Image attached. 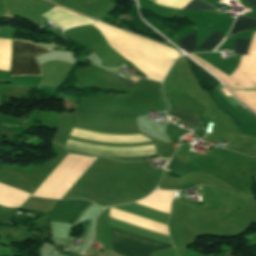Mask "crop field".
<instances>
[{
    "label": "crop field",
    "instance_id": "obj_1",
    "mask_svg": "<svg viewBox=\"0 0 256 256\" xmlns=\"http://www.w3.org/2000/svg\"><path fill=\"white\" fill-rule=\"evenodd\" d=\"M251 49L256 50V32H254L253 34V38L248 50V55H244L241 57L238 67L233 71V73L229 77L220 72L219 70H217L216 68H214L212 65L206 63L196 55L191 54L190 56H192L205 68H207L214 75H216L241 102H243L246 106H248L250 109L256 112V101H252L256 100V51H251Z\"/></svg>",
    "mask_w": 256,
    "mask_h": 256
},
{
    "label": "crop field",
    "instance_id": "obj_2",
    "mask_svg": "<svg viewBox=\"0 0 256 256\" xmlns=\"http://www.w3.org/2000/svg\"><path fill=\"white\" fill-rule=\"evenodd\" d=\"M113 250L123 256H151V252L172 247L111 227Z\"/></svg>",
    "mask_w": 256,
    "mask_h": 256
},
{
    "label": "crop field",
    "instance_id": "obj_3",
    "mask_svg": "<svg viewBox=\"0 0 256 256\" xmlns=\"http://www.w3.org/2000/svg\"><path fill=\"white\" fill-rule=\"evenodd\" d=\"M48 51L51 50L35 43L14 41L10 76H41L35 56Z\"/></svg>",
    "mask_w": 256,
    "mask_h": 256
},
{
    "label": "crop field",
    "instance_id": "obj_4",
    "mask_svg": "<svg viewBox=\"0 0 256 256\" xmlns=\"http://www.w3.org/2000/svg\"><path fill=\"white\" fill-rule=\"evenodd\" d=\"M168 114L171 115V116H174L176 118L181 119L182 121L179 122L180 124H184V125H188V126H193V127L197 126V124H198V122H199V120H200V118L202 116V115H199V114L191 113V112L180 110V109H176V108H174L173 110L168 112Z\"/></svg>",
    "mask_w": 256,
    "mask_h": 256
},
{
    "label": "crop field",
    "instance_id": "obj_5",
    "mask_svg": "<svg viewBox=\"0 0 256 256\" xmlns=\"http://www.w3.org/2000/svg\"><path fill=\"white\" fill-rule=\"evenodd\" d=\"M65 148L70 149V150H74V151H78V152H83V153L97 154V155H108V156H118V157L145 156V155H154V154H156L155 151L136 152V153H110V152L87 150V149L68 146V145H66Z\"/></svg>",
    "mask_w": 256,
    "mask_h": 256
},
{
    "label": "crop field",
    "instance_id": "obj_6",
    "mask_svg": "<svg viewBox=\"0 0 256 256\" xmlns=\"http://www.w3.org/2000/svg\"><path fill=\"white\" fill-rule=\"evenodd\" d=\"M253 27H256V20L255 19L238 15V17H237V19H236V21H235V23L232 27L231 35L236 33V32L246 30V29H249V28H253Z\"/></svg>",
    "mask_w": 256,
    "mask_h": 256
},
{
    "label": "crop field",
    "instance_id": "obj_7",
    "mask_svg": "<svg viewBox=\"0 0 256 256\" xmlns=\"http://www.w3.org/2000/svg\"><path fill=\"white\" fill-rule=\"evenodd\" d=\"M223 37H224L223 34L213 32V34L206 41H204L198 48L212 50L222 40ZM224 39H225V37H224ZM224 39L222 41H224Z\"/></svg>",
    "mask_w": 256,
    "mask_h": 256
},
{
    "label": "crop field",
    "instance_id": "obj_8",
    "mask_svg": "<svg viewBox=\"0 0 256 256\" xmlns=\"http://www.w3.org/2000/svg\"><path fill=\"white\" fill-rule=\"evenodd\" d=\"M182 48L188 53L195 49V32L181 39Z\"/></svg>",
    "mask_w": 256,
    "mask_h": 256
},
{
    "label": "crop field",
    "instance_id": "obj_9",
    "mask_svg": "<svg viewBox=\"0 0 256 256\" xmlns=\"http://www.w3.org/2000/svg\"><path fill=\"white\" fill-rule=\"evenodd\" d=\"M250 41L247 40H236L233 48L234 53L247 54Z\"/></svg>",
    "mask_w": 256,
    "mask_h": 256
},
{
    "label": "crop field",
    "instance_id": "obj_10",
    "mask_svg": "<svg viewBox=\"0 0 256 256\" xmlns=\"http://www.w3.org/2000/svg\"><path fill=\"white\" fill-rule=\"evenodd\" d=\"M194 10H215V8L200 0H196Z\"/></svg>",
    "mask_w": 256,
    "mask_h": 256
},
{
    "label": "crop field",
    "instance_id": "obj_11",
    "mask_svg": "<svg viewBox=\"0 0 256 256\" xmlns=\"http://www.w3.org/2000/svg\"><path fill=\"white\" fill-rule=\"evenodd\" d=\"M107 76H109V77H111V78H113V79H115V80H117V81H119V82H121V83H123V84L129 86V87H131V86L133 85V83H131V82H129V81H127V80H125V79L119 77V76H115V75L112 74V73L108 74Z\"/></svg>",
    "mask_w": 256,
    "mask_h": 256
},
{
    "label": "crop field",
    "instance_id": "obj_12",
    "mask_svg": "<svg viewBox=\"0 0 256 256\" xmlns=\"http://www.w3.org/2000/svg\"><path fill=\"white\" fill-rule=\"evenodd\" d=\"M253 7L256 8V0H247Z\"/></svg>",
    "mask_w": 256,
    "mask_h": 256
},
{
    "label": "crop field",
    "instance_id": "obj_13",
    "mask_svg": "<svg viewBox=\"0 0 256 256\" xmlns=\"http://www.w3.org/2000/svg\"><path fill=\"white\" fill-rule=\"evenodd\" d=\"M85 1H89V0H85Z\"/></svg>",
    "mask_w": 256,
    "mask_h": 256
}]
</instances>
